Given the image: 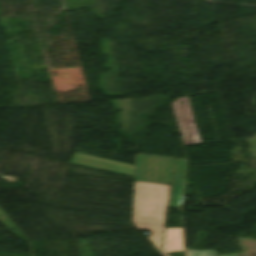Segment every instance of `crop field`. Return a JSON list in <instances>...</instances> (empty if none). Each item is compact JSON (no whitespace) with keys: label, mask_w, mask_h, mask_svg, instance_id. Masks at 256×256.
<instances>
[{"label":"crop field","mask_w":256,"mask_h":256,"mask_svg":"<svg viewBox=\"0 0 256 256\" xmlns=\"http://www.w3.org/2000/svg\"><path fill=\"white\" fill-rule=\"evenodd\" d=\"M174 158L137 154L135 166L76 152L71 163L170 185Z\"/></svg>","instance_id":"8a807250"},{"label":"crop field","mask_w":256,"mask_h":256,"mask_svg":"<svg viewBox=\"0 0 256 256\" xmlns=\"http://www.w3.org/2000/svg\"><path fill=\"white\" fill-rule=\"evenodd\" d=\"M179 101H183L180 105ZM184 145L201 143L187 97L172 103Z\"/></svg>","instance_id":"ac0d7876"},{"label":"crop field","mask_w":256,"mask_h":256,"mask_svg":"<svg viewBox=\"0 0 256 256\" xmlns=\"http://www.w3.org/2000/svg\"><path fill=\"white\" fill-rule=\"evenodd\" d=\"M187 165L185 160L177 159L170 194L169 207H181Z\"/></svg>","instance_id":"34b2d1b8"},{"label":"crop field","mask_w":256,"mask_h":256,"mask_svg":"<svg viewBox=\"0 0 256 256\" xmlns=\"http://www.w3.org/2000/svg\"><path fill=\"white\" fill-rule=\"evenodd\" d=\"M162 251L166 253L184 251L181 228H165Z\"/></svg>","instance_id":"412701ff"},{"label":"crop field","mask_w":256,"mask_h":256,"mask_svg":"<svg viewBox=\"0 0 256 256\" xmlns=\"http://www.w3.org/2000/svg\"><path fill=\"white\" fill-rule=\"evenodd\" d=\"M138 230L140 229H146L150 230L152 232L151 236L148 237V239L151 241V243L157 248V250L160 252V241H161V235H162V229L163 226L158 225H147V224H137L133 223ZM161 253V252H160ZM163 256H169L166 254L161 253Z\"/></svg>","instance_id":"f4fd0767"},{"label":"crop field","mask_w":256,"mask_h":256,"mask_svg":"<svg viewBox=\"0 0 256 256\" xmlns=\"http://www.w3.org/2000/svg\"><path fill=\"white\" fill-rule=\"evenodd\" d=\"M165 216L133 213L132 222L163 225Z\"/></svg>","instance_id":"dd49c442"},{"label":"crop field","mask_w":256,"mask_h":256,"mask_svg":"<svg viewBox=\"0 0 256 256\" xmlns=\"http://www.w3.org/2000/svg\"><path fill=\"white\" fill-rule=\"evenodd\" d=\"M188 256H217L216 251L187 250Z\"/></svg>","instance_id":"e52e79f7"},{"label":"crop field","mask_w":256,"mask_h":256,"mask_svg":"<svg viewBox=\"0 0 256 256\" xmlns=\"http://www.w3.org/2000/svg\"><path fill=\"white\" fill-rule=\"evenodd\" d=\"M218 256H236V254L218 255Z\"/></svg>","instance_id":"d8731c3e"}]
</instances>
